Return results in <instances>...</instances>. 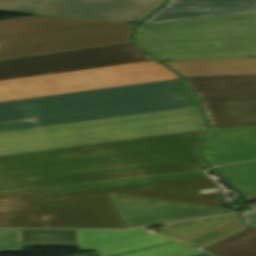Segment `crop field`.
I'll return each instance as SVG.
<instances>
[{
    "mask_svg": "<svg viewBox=\"0 0 256 256\" xmlns=\"http://www.w3.org/2000/svg\"><path fill=\"white\" fill-rule=\"evenodd\" d=\"M198 107L0 133V193L203 170Z\"/></svg>",
    "mask_w": 256,
    "mask_h": 256,
    "instance_id": "crop-field-1",
    "label": "crop field"
},
{
    "mask_svg": "<svg viewBox=\"0 0 256 256\" xmlns=\"http://www.w3.org/2000/svg\"><path fill=\"white\" fill-rule=\"evenodd\" d=\"M108 193L222 208L216 182L196 171L0 194V227H46L25 217L54 212L48 227L126 228Z\"/></svg>",
    "mask_w": 256,
    "mask_h": 256,
    "instance_id": "crop-field-2",
    "label": "crop field"
},
{
    "mask_svg": "<svg viewBox=\"0 0 256 256\" xmlns=\"http://www.w3.org/2000/svg\"><path fill=\"white\" fill-rule=\"evenodd\" d=\"M171 80L0 102V132L186 108Z\"/></svg>",
    "mask_w": 256,
    "mask_h": 256,
    "instance_id": "crop-field-3",
    "label": "crop field"
},
{
    "mask_svg": "<svg viewBox=\"0 0 256 256\" xmlns=\"http://www.w3.org/2000/svg\"><path fill=\"white\" fill-rule=\"evenodd\" d=\"M134 42L161 61L256 57V14L138 26Z\"/></svg>",
    "mask_w": 256,
    "mask_h": 256,
    "instance_id": "crop-field-4",
    "label": "crop field"
},
{
    "mask_svg": "<svg viewBox=\"0 0 256 256\" xmlns=\"http://www.w3.org/2000/svg\"><path fill=\"white\" fill-rule=\"evenodd\" d=\"M179 78L156 62L0 82V101Z\"/></svg>",
    "mask_w": 256,
    "mask_h": 256,
    "instance_id": "crop-field-5",
    "label": "crop field"
},
{
    "mask_svg": "<svg viewBox=\"0 0 256 256\" xmlns=\"http://www.w3.org/2000/svg\"><path fill=\"white\" fill-rule=\"evenodd\" d=\"M184 78L210 128L256 126V74Z\"/></svg>",
    "mask_w": 256,
    "mask_h": 256,
    "instance_id": "crop-field-6",
    "label": "crop field"
},
{
    "mask_svg": "<svg viewBox=\"0 0 256 256\" xmlns=\"http://www.w3.org/2000/svg\"><path fill=\"white\" fill-rule=\"evenodd\" d=\"M153 60L130 43L0 61V80Z\"/></svg>",
    "mask_w": 256,
    "mask_h": 256,
    "instance_id": "crop-field-7",
    "label": "crop field"
},
{
    "mask_svg": "<svg viewBox=\"0 0 256 256\" xmlns=\"http://www.w3.org/2000/svg\"><path fill=\"white\" fill-rule=\"evenodd\" d=\"M165 0H0V12L138 23Z\"/></svg>",
    "mask_w": 256,
    "mask_h": 256,
    "instance_id": "crop-field-8",
    "label": "crop field"
},
{
    "mask_svg": "<svg viewBox=\"0 0 256 256\" xmlns=\"http://www.w3.org/2000/svg\"><path fill=\"white\" fill-rule=\"evenodd\" d=\"M78 251L99 250L101 256H185L203 252L145 229L76 230Z\"/></svg>",
    "mask_w": 256,
    "mask_h": 256,
    "instance_id": "crop-field-9",
    "label": "crop field"
},
{
    "mask_svg": "<svg viewBox=\"0 0 256 256\" xmlns=\"http://www.w3.org/2000/svg\"><path fill=\"white\" fill-rule=\"evenodd\" d=\"M133 26L0 43V60L129 42Z\"/></svg>",
    "mask_w": 256,
    "mask_h": 256,
    "instance_id": "crop-field-10",
    "label": "crop field"
},
{
    "mask_svg": "<svg viewBox=\"0 0 256 256\" xmlns=\"http://www.w3.org/2000/svg\"><path fill=\"white\" fill-rule=\"evenodd\" d=\"M110 196L128 228L233 212L231 209H219L125 195L110 194Z\"/></svg>",
    "mask_w": 256,
    "mask_h": 256,
    "instance_id": "crop-field-11",
    "label": "crop field"
},
{
    "mask_svg": "<svg viewBox=\"0 0 256 256\" xmlns=\"http://www.w3.org/2000/svg\"><path fill=\"white\" fill-rule=\"evenodd\" d=\"M203 152L211 165L255 160L256 127L210 129Z\"/></svg>",
    "mask_w": 256,
    "mask_h": 256,
    "instance_id": "crop-field-12",
    "label": "crop field"
},
{
    "mask_svg": "<svg viewBox=\"0 0 256 256\" xmlns=\"http://www.w3.org/2000/svg\"><path fill=\"white\" fill-rule=\"evenodd\" d=\"M127 23L33 16L0 21V42Z\"/></svg>",
    "mask_w": 256,
    "mask_h": 256,
    "instance_id": "crop-field-13",
    "label": "crop field"
},
{
    "mask_svg": "<svg viewBox=\"0 0 256 256\" xmlns=\"http://www.w3.org/2000/svg\"><path fill=\"white\" fill-rule=\"evenodd\" d=\"M256 13V0H169L143 23Z\"/></svg>",
    "mask_w": 256,
    "mask_h": 256,
    "instance_id": "crop-field-14",
    "label": "crop field"
},
{
    "mask_svg": "<svg viewBox=\"0 0 256 256\" xmlns=\"http://www.w3.org/2000/svg\"><path fill=\"white\" fill-rule=\"evenodd\" d=\"M247 228L239 215L222 216L159 227V233L204 248Z\"/></svg>",
    "mask_w": 256,
    "mask_h": 256,
    "instance_id": "crop-field-15",
    "label": "crop field"
},
{
    "mask_svg": "<svg viewBox=\"0 0 256 256\" xmlns=\"http://www.w3.org/2000/svg\"><path fill=\"white\" fill-rule=\"evenodd\" d=\"M183 76L256 73V58L164 62Z\"/></svg>",
    "mask_w": 256,
    "mask_h": 256,
    "instance_id": "crop-field-16",
    "label": "crop field"
},
{
    "mask_svg": "<svg viewBox=\"0 0 256 256\" xmlns=\"http://www.w3.org/2000/svg\"><path fill=\"white\" fill-rule=\"evenodd\" d=\"M205 250L220 256H256V228L245 229Z\"/></svg>",
    "mask_w": 256,
    "mask_h": 256,
    "instance_id": "crop-field-17",
    "label": "crop field"
},
{
    "mask_svg": "<svg viewBox=\"0 0 256 256\" xmlns=\"http://www.w3.org/2000/svg\"><path fill=\"white\" fill-rule=\"evenodd\" d=\"M215 169L244 194L246 201L256 200V161Z\"/></svg>",
    "mask_w": 256,
    "mask_h": 256,
    "instance_id": "crop-field-18",
    "label": "crop field"
},
{
    "mask_svg": "<svg viewBox=\"0 0 256 256\" xmlns=\"http://www.w3.org/2000/svg\"><path fill=\"white\" fill-rule=\"evenodd\" d=\"M22 246H77L75 230L20 229Z\"/></svg>",
    "mask_w": 256,
    "mask_h": 256,
    "instance_id": "crop-field-19",
    "label": "crop field"
},
{
    "mask_svg": "<svg viewBox=\"0 0 256 256\" xmlns=\"http://www.w3.org/2000/svg\"><path fill=\"white\" fill-rule=\"evenodd\" d=\"M0 252H21L19 229H0Z\"/></svg>",
    "mask_w": 256,
    "mask_h": 256,
    "instance_id": "crop-field-20",
    "label": "crop field"
},
{
    "mask_svg": "<svg viewBox=\"0 0 256 256\" xmlns=\"http://www.w3.org/2000/svg\"><path fill=\"white\" fill-rule=\"evenodd\" d=\"M172 82L175 84V86L180 91V93L185 98L190 107L197 106L194 96L191 94V92L188 90L185 84L181 81V79L172 80Z\"/></svg>",
    "mask_w": 256,
    "mask_h": 256,
    "instance_id": "crop-field-21",
    "label": "crop field"
},
{
    "mask_svg": "<svg viewBox=\"0 0 256 256\" xmlns=\"http://www.w3.org/2000/svg\"><path fill=\"white\" fill-rule=\"evenodd\" d=\"M57 219H59L58 215L53 213L44 215V216H33V217L26 218L27 221L46 222V226H47V221L57 220Z\"/></svg>",
    "mask_w": 256,
    "mask_h": 256,
    "instance_id": "crop-field-22",
    "label": "crop field"
},
{
    "mask_svg": "<svg viewBox=\"0 0 256 256\" xmlns=\"http://www.w3.org/2000/svg\"><path fill=\"white\" fill-rule=\"evenodd\" d=\"M245 220L248 221V222L256 221V212L249 213L248 215H246Z\"/></svg>",
    "mask_w": 256,
    "mask_h": 256,
    "instance_id": "crop-field-23",
    "label": "crop field"
},
{
    "mask_svg": "<svg viewBox=\"0 0 256 256\" xmlns=\"http://www.w3.org/2000/svg\"><path fill=\"white\" fill-rule=\"evenodd\" d=\"M190 256H216V255H213V254L208 253V252H203V253L194 254V255H190Z\"/></svg>",
    "mask_w": 256,
    "mask_h": 256,
    "instance_id": "crop-field-24",
    "label": "crop field"
},
{
    "mask_svg": "<svg viewBox=\"0 0 256 256\" xmlns=\"http://www.w3.org/2000/svg\"><path fill=\"white\" fill-rule=\"evenodd\" d=\"M80 256H100V255L98 252H94V253H89V254L80 255Z\"/></svg>",
    "mask_w": 256,
    "mask_h": 256,
    "instance_id": "crop-field-25",
    "label": "crop field"
},
{
    "mask_svg": "<svg viewBox=\"0 0 256 256\" xmlns=\"http://www.w3.org/2000/svg\"><path fill=\"white\" fill-rule=\"evenodd\" d=\"M248 223V222H247ZM248 224H256V222H254V223H248Z\"/></svg>",
    "mask_w": 256,
    "mask_h": 256,
    "instance_id": "crop-field-26",
    "label": "crop field"
}]
</instances>
